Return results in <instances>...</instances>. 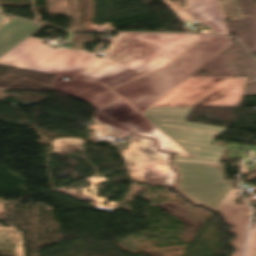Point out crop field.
Returning <instances> with one entry per match:
<instances>
[{"instance_id":"8a807250","label":"crop field","mask_w":256,"mask_h":256,"mask_svg":"<svg viewBox=\"0 0 256 256\" xmlns=\"http://www.w3.org/2000/svg\"><path fill=\"white\" fill-rule=\"evenodd\" d=\"M203 37L188 34L166 47L118 33L103 58L75 78L117 87L160 69Z\"/></svg>"},{"instance_id":"ac0d7876","label":"crop field","mask_w":256,"mask_h":256,"mask_svg":"<svg viewBox=\"0 0 256 256\" xmlns=\"http://www.w3.org/2000/svg\"><path fill=\"white\" fill-rule=\"evenodd\" d=\"M43 27L15 18L0 27V66L73 78L100 59L86 51L54 50L29 37Z\"/></svg>"},{"instance_id":"34b2d1b8","label":"crop field","mask_w":256,"mask_h":256,"mask_svg":"<svg viewBox=\"0 0 256 256\" xmlns=\"http://www.w3.org/2000/svg\"><path fill=\"white\" fill-rule=\"evenodd\" d=\"M230 45L227 37L207 36L164 69L112 91L141 113Z\"/></svg>"},{"instance_id":"412701ff","label":"crop field","mask_w":256,"mask_h":256,"mask_svg":"<svg viewBox=\"0 0 256 256\" xmlns=\"http://www.w3.org/2000/svg\"><path fill=\"white\" fill-rule=\"evenodd\" d=\"M248 77H190L153 107H238Z\"/></svg>"},{"instance_id":"f4fd0767","label":"crop field","mask_w":256,"mask_h":256,"mask_svg":"<svg viewBox=\"0 0 256 256\" xmlns=\"http://www.w3.org/2000/svg\"><path fill=\"white\" fill-rule=\"evenodd\" d=\"M99 112L138 136L155 138L159 145V150L161 151L174 153L176 155L189 156V154L184 152L123 100L117 101L99 110Z\"/></svg>"},{"instance_id":"dd49c442","label":"crop field","mask_w":256,"mask_h":256,"mask_svg":"<svg viewBox=\"0 0 256 256\" xmlns=\"http://www.w3.org/2000/svg\"><path fill=\"white\" fill-rule=\"evenodd\" d=\"M93 120L96 124L106 128L109 136L132 137L128 151H123L129 167L141 166L168 159V154L157 152L152 140L139 138L130 134L97 112L94 114Z\"/></svg>"},{"instance_id":"e52e79f7","label":"crop field","mask_w":256,"mask_h":256,"mask_svg":"<svg viewBox=\"0 0 256 256\" xmlns=\"http://www.w3.org/2000/svg\"><path fill=\"white\" fill-rule=\"evenodd\" d=\"M62 79L64 78L56 77L51 88L87 101L97 110L119 99L105 85L76 79L66 81Z\"/></svg>"},{"instance_id":"d8731c3e","label":"crop field","mask_w":256,"mask_h":256,"mask_svg":"<svg viewBox=\"0 0 256 256\" xmlns=\"http://www.w3.org/2000/svg\"><path fill=\"white\" fill-rule=\"evenodd\" d=\"M239 189H232L228 196L224 199V201L219 206L217 212L222 214L225 220L234 226V228L230 229V232L235 234L236 237L231 241V246L235 247L237 251L232 256H241L244 242L248 230L249 220V207L247 205H234L236 202L233 199H236L239 193Z\"/></svg>"},{"instance_id":"5a996713","label":"crop field","mask_w":256,"mask_h":256,"mask_svg":"<svg viewBox=\"0 0 256 256\" xmlns=\"http://www.w3.org/2000/svg\"><path fill=\"white\" fill-rule=\"evenodd\" d=\"M198 20L208 24L212 33L228 34L217 0H188L186 8Z\"/></svg>"},{"instance_id":"3316defc","label":"crop field","mask_w":256,"mask_h":256,"mask_svg":"<svg viewBox=\"0 0 256 256\" xmlns=\"http://www.w3.org/2000/svg\"><path fill=\"white\" fill-rule=\"evenodd\" d=\"M130 174L134 182L167 187H171L175 178V174L170 170L168 162L132 169Z\"/></svg>"},{"instance_id":"28ad6ade","label":"crop field","mask_w":256,"mask_h":256,"mask_svg":"<svg viewBox=\"0 0 256 256\" xmlns=\"http://www.w3.org/2000/svg\"><path fill=\"white\" fill-rule=\"evenodd\" d=\"M144 39H148L163 45H170L186 34H157V33H129Z\"/></svg>"},{"instance_id":"d1516ede","label":"crop field","mask_w":256,"mask_h":256,"mask_svg":"<svg viewBox=\"0 0 256 256\" xmlns=\"http://www.w3.org/2000/svg\"><path fill=\"white\" fill-rule=\"evenodd\" d=\"M223 19L241 18L236 0H218Z\"/></svg>"},{"instance_id":"22f410ed","label":"crop field","mask_w":256,"mask_h":256,"mask_svg":"<svg viewBox=\"0 0 256 256\" xmlns=\"http://www.w3.org/2000/svg\"><path fill=\"white\" fill-rule=\"evenodd\" d=\"M245 256H256V225L250 233Z\"/></svg>"},{"instance_id":"cbeb9de0","label":"crop field","mask_w":256,"mask_h":256,"mask_svg":"<svg viewBox=\"0 0 256 256\" xmlns=\"http://www.w3.org/2000/svg\"><path fill=\"white\" fill-rule=\"evenodd\" d=\"M173 12L177 15V17H178L181 21L193 19L191 16H189V15H188L185 11H183L182 9L174 10Z\"/></svg>"},{"instance_id":"5142ce71","label":"crop field","mask_w":256,"mask_h":256,"mask_svg":"<svg viewBox=\"0 0 256 256\" xmlns=\"http://www.w3.org/2000/svg\"><path fill=\"white\" fill-rule=\"evenodd\" d=\"M170 8L171 10L182 8L181 6L169 1V0H163Z\"/></svg>"},{"instance_id":"d9b57169","label":"crop field","mask_w":256,"mask_h":256,"mask_svg":"<svg viewBox=\"0 0 256 256\" xmlns=\"http://www.w3.org/2000/svg\"><path fill=\"white\" fill-rule=\"evenodd\" d=\"M251 187L256 189V187H254V186H251Z\"/></svg>"}]
</instances>
